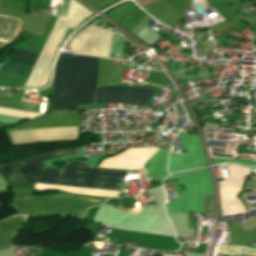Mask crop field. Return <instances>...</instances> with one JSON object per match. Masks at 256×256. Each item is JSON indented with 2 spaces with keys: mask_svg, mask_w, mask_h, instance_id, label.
I'll use <instances>...</instances> for the list:
<instances>
[{
  "mask_svg": "<svg viewBox=\"0 0 256 256\" xmlns=\"http://www.w3.org/2000/svg\"><path fill=\"white\" fill-rule=\"evenodd\" d=\"M77 148L31 158L14 165L0 167L9 181L46 185L119 191L129 171L92 168L89 164L69 162L62 170L44 168L42 161L76 154ZM11 208L20 214L81 215L87 207L102 203L105 198L54 194L29 197L31 191H14Z\"/></svg>",
  "mask_w": 256,
  "mask_h": 256,
  "instance_id": "1",
  "label": "crop field"
},
{
  "mask_svg": "<svg viewBox=\"0 0 256 256\" xmlns=\"http://www.w3.org/2000/svg\"><path fill=\"white\" fill-rule=\"evenodd\" d=\"M98 59L60 55L53 83L54 111L76 110L77 104L93 103Z\"/></svg>",
  "mask_w": 256,
  "mask_h": 256,
  "instance_id": "2",
  "label": "crop field"
},
{
  "mask_svg": "<svg viewBox=\"0 0 256 256\" xmlns=\"http://www.w3.org/2000/svg\"><path fill=\"white\" fill-rule=\"evenodd\" d=\"M66 28L67 24L58 18L25 86L40 87L46 84L50 65L56 52L55 46L59 43Z\"/></svg>",
  "mask_w": 256,
  "mask_h": 256,
  "instance_id": "3",
  "label": "crop field"
},
{
  "mask_svg": "<svg viewBox=\"0 0 256 256\" xmlns=\"http://www.w3.org/2000/svg\"><path fill=\"white\" fill-rule=\"evenodd\" d=\"M154 90L100 87L97 89L95 103L116 102L127 104H143L147 102Z\"/></svg>",
  "mask_w": 256,
  "mask_h": 256,
  "instance_id": "4",
  "label": "crop field"
},
{
  "mask_svg": "<svg viewBox=\"0 0 256 256\" xmlns=\"http://www.w3.org/2000/svg\"><path fill=\"white\" fill-rule=\"evenodd\" d=\"M70 115H77V113L76 112L49 113L43 117L70 116ZM61 126H77V116L34 119L21 126L10 129L7 132L36 129V128L61 127Z\"/></svg>",
  "mask_w": 256,
  "mask_h": 256,
  "instance_id": "5",
  "label": "crop field"
},
{
  "mask_svg": "<svg viewBox=\"0 0 256 256\" xmlns=\"http://www.w3.org/2000/svg\"><path fill=\"white\" fill-rule=\"evenodd\" d=\"M105 15L130 32L147 14L139 10L131 2H126Z\"/></svg>",
  "mask_w": 256,
  "mask_h": 256,
  "instance_id": "6",
  "label": "crop field"
},
{
  "mask_svg": "<svg viewBox=\"0 0 256 256\" xmlns=\"http://www.w3.org/2000/svg\"><path fill=\"white\" fill-rule=\"evenodd\" d=\"M37 56V53L14 49L11 57L9 56L10 58L8 60L33 65ZM9 61H6L4 65L0 68V70L28 76L33 67L31 65H25Z\"/></svg>",
  "mask_w": 256,
  "mask_h": 256,
  "instance_id": "7",
  "label": "crop field"
},
{
  "mask_svg": "<svg viewBox=\"0 0 256 256\" xmlns=\"http://www.w3.org/2000/svg\"><path fill=\"white\" fill-rule=\"evenodd\" d=\"M23 221L24 217H11L0 222V250L14 246L12 240Z\"/></svg>",
  "mask_w": 256,
  "mask_h": 256,
  "instance_id": "8",
  "label": "crop field"
},
{
  "mask_svg": "<svg viewBox=\"0 0 256 256\" xmlns=\"http://www.w3.org/2000/svg\"><path fill=\"white\" fill-rule=\"evenodd\" d=\"M92 13L78 2L71 0L69 10L66 16L70 28L74 29L82 20L86 19Z\"/></svg>",
  "mask_w": 256,
  "mask_h": 256,
  "instance_id": "9",
  "label": "crop field"
},
{
  "mask_svg": "<svg viewBox=\"0 0 256 256\" xmlns=\"http://www.w3.org/2000/svg\"><path fill=\"white\" fill-rule=\"evenodd\" d=\"M0 115L32 119V118H35V117L40 116L42 114L41 113L18 111V110H13V109H7V108L0 107Z\"/></svg>",
  "mask_w": 256,
  "mask_h": 256,
  "instance_id": "10",
  "label": "crop field"
}]
</instances>
